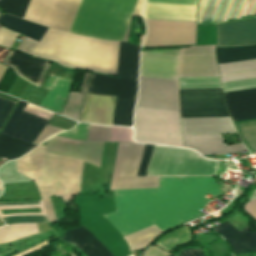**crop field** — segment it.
Here are the masks:
<instances>
[{
    "instance_id": "214f88e0",
    "label": "crop field",
    "mask_w": 256,
    "mask_h": 256,
    "mask_svg": "<svg viewBox=\"0 0 256 256\" xmlns=\"http://www.w3.org/2000/svg\"><path fill=\"white\" fill-rule=\"evenodd\" d=\"M196 7L189 5H171L146 3L144 19L195 21Z\"/></svg>"
},
{
    "instance_id": "eef30255",
    "label": "crop field",
    "mask_w": 256,
    "mask_h": 256,
    "mask_svg": "<svg viewBox=\"0 0 256 256\" xmlns=\"http://www.w3.org/2000/svg\"><path fill=\"white\" fill-rule=\"evenodd\" d=\"M46 62L14 51L8 60V63L14 65L21 75L34 82H37Z\"/></svg>"
},
{
    "instance_id": "b80d0937",
    "label": "crop field",
    "mask_w": 256,
    "mask_h": 256,
    "mask_svg": "<svg viewBox=\"0 0 256 256\" xmlns=\"http://www.w3.org/2000/svg\"><path fill=\"white\" fill-rule=\"evenodd\" d=\"M89 125L78 123L75 128L67 132L58 134L69 139L86 140Z\"/></svg>"
},
{
    "instance_id": "425ffa30",
    "label": "crop field",
    "mask_w": 256,
    "mask_h": 256,
    "mask_svg": "<svg viewBox=\"0 0 256 256\" xmlns=\"http://www.w3.org/2000/svg\"><path fill=\"white\" fill-rule=\"evenodd\" d=\"M36 45H37V42L24 37L23 41L18 47V50L31 54L34 48L36 47Z\"/></svg>"
},
{
    "instance_id": "bd1437ed",
    "label": "crop field",
    "mask_w": 256,
    "mask_h": 256,
    "mask_svg": "<svg viewBox=\"0 0 256 256\" xmlns=\"http://www.w3.org/2000/svg\"><path fill=\"white\" fill-rule=\"evenodd\" d=\"M37 145L20 142L0 134V159L9 161L17 159Z\"/></svg>"
},
{
    "instance_id": "03da06ac",
    "label": "crop field",
    "mask_w": 256,
    "mask_h": 256,
    "mask_svg": "<svg viewBox=\"0 0 256 256\" xmlns=\"http://www.w3.org/2000/svg\"><path fill=\"white\" fill-rule=\"evenodd\" d=\"M65 130H61L55 127H51L46 125V127L43 129V131L40 133V135L37 137V139L34 141V144H40L47 138Z\"/></svg>"
},
{
    "instance_id": "dd49c442",
    "label": "crop field",
    "mask_w": 256,
    "mask_h": 256,
    "mask_svg": "<svg viewBox=\"0 0 256 256\" xmlns=\"http://www.w3.org/2000/svg\"><path fill=\"white\" fill-rule=\"evenodd\" d=\"M135 141L184 147L179 112L136 107Z\"/></svg>"
},
{
    "instance_id": "0fb4a251",
    "label": "crop field",
    "mask_w": 256,
    "mask_h": 256,
    "mask_svg": "<svg viewBox=\"0 0 256 256\" xmlns=\"http://www.w3.org/2000/svg\"><path fill=\"white\" fill-rule=\"evenodd\" d=\"M0 190H2V185H1V183H0Z\"/></svg>"
},
{
    "instance_id": "cbeb9de0",
    "label": "crop field",
    "mask_w": 256,
    "mask_h": 256,
    "mask_svg": "<svg viewBox=\"0 0 256 256\" xmlns=\"http://www.w3.org/2000/svg\"><path fill=\"white\" fill-rule=\"evenodd\" d=\"M222 82L256 78V59L218 65ZM224 92L256 88V79L222 83Z\"/></svg>"
},
{
    "instance_id": "a9b5d70f",
    "label": "crop field",
    "mask_w": 256,
    "mask_h": 256,
    "mask_svg": "<svg viewBox=\"0 0 256 256\" xmlns=\"http://www.w3.org/2000/svg\"><path fill=\"white\" fill-rule=\"evenodd\" d=\"M206 1L207 0H200L199 10H198V21L199 22L201 21L202 14H203V11H204V8H205V5H206ZM244 1L245 0H243V4H244ZM228 3H229V0H219V4H218V7H217V10H216L215 17H214L213 21H218V20H223L224 19ZM230 3H231V0H230ZM230 3H229V6H228V9H227V13H228V10H229V7H230ZM216 4H217V0H208L207 1V5H206V8H205V11H204L203 18H202L201 22L212 20ZM241 4H242V0H232L228 16H227V13H226L227 19H226V16H225V19L228 20V19L237 18L238 14H239L240 7H241ZM243 4H242V7H243ZM242 7H241V10H240V14H241V11H242ZM240 14H239V17H240Z\"/></svg>"
},
{
    "instance_id": "bc2a9ffb",
    "label": "crop field",
    "mask_w": 256,
    "mask_h": 256,
    "mask_svg": "<svg viewBox=\"0 0 256 256\" xmlns=\"http://www.w3.org/2000/svg\"><path fill=\"white\" fill-rule=\"evenodd\" d=\"M115 97L88 95L82 120L85 123L112 125Z\"/></svg>"
},
{
    "instance_id": "e52e79f7",
    "label": "crop field",
    "mask_w": 256,
    "mask_h": 256,
    "mask_svg": "<svg viewBox=\"0 0 256 256\" xmlns=\"http://www.w3.org/2000/svg\"><path fill=\"white\" fill-rule=\"evenodd\" d=\"M219 76L215 46L181 49L178 77ZM179 89L221 88L219 77L178 78Z\"/></svg>"
},
{
    "instance_id": "733c2abd",
    "label": "crop field",
    "mask_w": 256,
    "mask_h": 256,
    "mask_svg": "<svg viewBox=\"0 0 256 256\" xmlns=\"http://www.w3.org/2000/svg\"><path fill=\"white\" fill-rule=\"evenodd\" d=\"M185 147L202 155L233 154L246 150L242 143L227 146L221 134L183 136Z\"/></svg>"
},
{
    "instance_id": "92a150f3",
    "label": "crop field",
    "mask_w": 256,
    "mask_h": 256,
    "mask_svg": "<svg viewBox=\"0 0 256 256\" xmlns=\"http://www.w3.org/2000/svg\"><path fill=\"white\" fill-rule=\"evenodd\" d=\"M183 135L237 133L229 117L182 119Z\"/></svg>"
},
{
    "instance_id": "d1516ede",
    "label": "crop field",
    "mask_w": 256,
    "mask_h": 256,
    "mask_svg": "<svg viewBox=\"0 0 256 256\" xmlns=\"http://www.w3.org/2000/svg\"><path fill=\"white\" fill-rule=\"evenodd\" d=\"M136 106L179 111L176 81L139 78Z\"/></svg>"
},
{
    "instance_id": "e1f06a70",
    "label": "crop field",
    "mask_w": 256,
    "mask_h": 256,
    "mask_svg": "<svg viewBox=\"0 0 256 256\" xmlns=\"http://www.w3.org/2000/svg\"><path fill=\"white\" fill-rule=\"evenodd\" d=\"M110 127L90 125L87 140L109 142Z\"/></svg>"
},
{
    "instance_id": "f4fd0767",
    "label": "crop field",
    "mask_w": 256,
    "mask_h": 256,
    "mask_svg": "<svg viewBox=\"0 0 256 256\" xmlns=\"http://www.w3.org/2000/svg\"><path fill=\"white\" fill-rule=\"evenodd\" d=\"M29 1L0 0V8L23 18ZM79 3L80 0H31L24 18L68 32Z\"/></svg>"
},
{
    "instance_id": "dafd665d",
    "label": "crop field",
    "mask_w": 256,
    "mask_h": 256,
    "mask_svg": "<svg viewBox=\"0 0 256 256\" xmlns=\"http://www.w3.org/2000/svg\"><path fill=\"white\" fill-rule=\"evenodd\" d=\"M61 240L74 245L86 256H113L83 225L64 231Z\"/></svg>"
},
{
    "instance_id": "dbb93151",
    "label": "crop field",
    "mask_w": 256,
    "mask_h": 256,
    "mask_svg": "<svg viewBox=\"0 0 256 256\" xmlns=\"http://www.w3.org/2000/svg\"><path fill=\"white\" fill-rule=\"evenodd\" d=\"M47 244H49V243H47V241H45V242H43V243H41V244H39V245H37V246H35V247L29 249V250H26V251H24V252H22V253H20V254H18V255H16V256H25V255H27V254H29V253H31V252H33V251H35V250H37V249H39V248L45 246V245H47Z\"/></svg>"
},
{
    "instance_id": "4a817a6b",
    "label": "crop field",
    "mask_w": 256,
    "mask_h": 256,
    "mask_svg": "<svg viewBox=\"0 0 256 256\" xmlns=\"http://www.w3.org/2000/svg\"><path fill=\"white\" fill-rule=\"evenodd\" d=\"M224 96L234 122L256 119V89L227 92Z\"/></svg>"
},
{
    "instance_id": "120bbe31",
    "label": "crop field",
    "mask_w": 256,
    "mask_h": 256,
    "mask_svg": "<svg viewBox=\"0 0 256 256\" xmlns=\"http://www.w3.org/2000/svg\"><path fill=\"white\" fill-rule=\"evenodd\" d=\"M35 224H14L0 229V243L9 242L21 237L37 234Z\"/></svg>"
},
{
    "instance_id": "25e5ab78",
    "label": "crop field",
    "mask_w": 256,
    "mask_h": 256,
    "mask_svg": "<svg viewBox=\"0 0 256 256\" xmlns=\"http://www.w3.org/2000/svg\"><path fill=\"white\" fill-rule=\"evenodd\" d=\"M254 3H255V0H246V1H245V4H244V7H243V11H242L241 17H247V16H250V15H251V12H252ZM255 8H256V3H255V6H254V9H253V12H252V15H251V16L254 15ZM255 15H256V12H255ZM255 15H254V16H255ZM241 17H240V18H241Z\"/></svg>"
},
{
    "instance_id": "89e229c0",
    "label": "crop field",
    "mask_w": 256,
    "mask_h": 256,
    "mask_svg": "<svg viewBox=\"0 0 256 256\" xmlns=\"http://www.w3.org/2000/svg\"><path fill=\"white\" fill-rule=\"evenodd\" d=\"M245 210L256 219V199L245 205Z\"/></svg>"
},
{
    "instance_id": "73cf0c24",
    "label": "crop field",
    "mask_w": 256,
    "mask_h": 256,
    "mask_svg": "<svg viewBox=\"0 0 256 256\" xmlns=\"http://www.w3.org/2000/svg\"><path fill=\"white\" fill-rule=\"evenodd\" d=\"M146 2L197 5L198 0H147Z\"/></svg>"
},
{
    "instance_id": "ac0d7876",
    "label": "crop field",
    "mask_w": 256,
    "mask_h": 256,
    "mask_svg": "<svg viewBox=\"0 0 256 256\" xmlns=\"http://www.w3.org/2000/svg\"><path fill=\"white\" fill-rule=\"evenodd\" d=\"M160 188L114 191L117 212L103 217L122 237L155 224L163 231L201 216L208 199L221 194L213 177L160 178Z\"/></svg>"
},
{
    "instance_id": "5a996713",
    "label": "crop field",
    "mask_w": 256,
    "mask_h": 256,
    "mask_svg": "<svg viewBox=\"0 0 256 256\" xmlns=\"http://www.w3.org/2000/svg\"><path fill=\"white\" fill-rule=\"evenodd\" d=\"M256 44V19L217 25V47ZM216 45V26H198L196 46Z\"/></svg>"
},
{
    "instance_id": "028f5c9d",
    "label": "crop field",
    "mask_w": 256,
    "mask_h": 256,
    "mask_svg": "<svg viewBox=\"0 0 256 256\" xmlns=\"http://www.w3.org/2000/svg\"><path fill=\"white\" fill-rule=\"evenodd\" d=\"M189 240L190 233L188 232V229L184 226L161 237L155 244L171 253L174 247Z\"/></svg>"
},
{
    "instance_id": "22f410ed",
    "label": "crop field",
    "mask_w": 256,
    "mask_h": 256,
    "mask_svg": "<svg viewBox=\"0 0 256 256\" xmlns=\"http://www.w3.org/2000/svg\"><path fill=\"white\" fill-rule=\"evenodd\" d=\"M27 103L20 101L13 115L9 119L2 134L14 139L33 143L47 120L34 116L32 114L22 112Z\"/></svg>"
},
{
    "instance_id": "4177f3b9",
    "label": "crop field",
    "mask_w": 256,
    "mask_h": 256,
    "mask_svg": "<svg viewBox=\"0 0 256 256\" xmlns=\"http://www.w3.org/2000/svg\"><path fill=\"white\" fill-rule=\"evenodd\" d=\"M70 79L50 74L44 89L49 90L39 106L60 112L64 98L70 85Z\"/></svg>"
},
{
    "instance_id": "c035e120",
    "label": "crop field",
    "mask_w": 256,
    "mask_h": 256,
    "mask_svg": "<svg viewBox=\"0 0 256 256\" xmlns=\"http://www.w3.org/2000/svg\"><path fill=\"white\" fill-rule=\"evenodd\" d=\"M75 124L76 122L70 121L56 114H54L48 122V125H52L65 130L71 129Z\"/></svg>"
},
{
    "instance_id": "730fd06b",
    "label": "crop field",
    "mask_w": 256,
    "mask_h": 256,
    "mask_svg": "<svg viewBox=\"0 0 256 256\" xmlns=\"http://www.w3.org/2000/svg\"><path fill=\"white\" fill-rule=\"evenodd\" d=\"M139 47L120 42L116 76L137 79Z\"/></svg>"
},
{
    "instance_id": "412701ff",
    "label": "crop field",
    "mask_w": 256,
    "mask_h": 256,
    "mask_svg": "<svg viewBox=\"0 0 256 256\" xmlns=\"http://www.w3.org/2000/svg\"><path fill=\"white\" fill-rule=\"evenodd\" d=\"M218 162L207 160L188 149L155 145L147 176H214Z\"/></svg>"
},
{
    "instance_id": "d9b57169",
    "label": "crop field",
    "mask_w": 256,
    "mask_h": 256,
    "mask_svg": "<svg viewBox=\"0 0 256 256\" xmlns=\"http://www.w3.org/2000/svg\"><path fill=\"white\" fill-rule=\"evenodd\" d=\"M179 57L141 53L140 76L177 80Z\"/></svg>"
},
{
    "instance_id": "34b2d1b8",
    "label": "crop field",
    "mask_w": 256,
    "mask_h": 256,
    "mask_svg": "<svg viewBox=\"0 0 256 256\" xmlns=\"http://www.w3.org/2000/svg\"><path fill=\"white\" fill-rule=\"evenodd\" d=\"M103 147L104 143L74 141L56 135L47 141L44 152L100 167ZM46 153L22 157L16 164L17 172L36 182L49 222L57 219L49 195L70 200L79 193L83 162Z\"/></svg>"
},
{
    "instance_id": "3316defc",
    "label": "crop field",
    "mask_w": 256,
    "mask_h": 256,
    "mask_svg": "<svg viewBox=\"0 0 256 256\" xmlns=\"http://www.w3.org/2000/svg\"><path fill=\"white\" fill-rule=\"evenodd\" d=\"M147 36L144 46L165 47L194 45L195 22L145 20Z\"/></svg>"
},
{
    "instance_id": "1f2cbd36",
    "label": "crop field",
    "mask_w": 256,
    "mask_h": 256,
    "mask_svg": "<svg viewBox=\"0 0 256 256\" xmlns=\"http://www.w3.org/2000/svg\"><path fill=\"white\" fill-rule=\"evenodd\" d=\"M179 256H204V254L202 250L192 249L181 252Z\"/></svg>"
},
{
    "instance_id": "d3111659",
    "label": "crop field",
    "mask_w": 256,
    "mask_h": 256,
    "mask_svg": "<svg viewBox=\"0 0 256 256\" xmlns=\"http://www.w3.org/2000/svg\"><path fill=\"white\" fill-rule=\"evenodd\" d=\"M91 74L92 73L85 71L80 93L69 92L70 96L68 95V101L66 100L67 104L65 103V109L63 108L64 112L62 111L63 116L79 121L81 109L86 99Z\"/></svg>"
},
{
    "instance_id": "5d738f31",
    "label": "crop field",
    "mask_w": 256,
    "mask_h": 256,
    "mask_svg": "<svg viewBox=\"0 0 256 256\" xmlns=\"http://www.w3.org/2000/svg\"><path fill=\"white\" fill-rule=\"evenodd\" d=\"M153 145H146L137 175L146 176V167L152 152Z\"/></svg>"
},
{
    "instance_id": "28ad6ade",
    "label": "crop field",
    "mask_w": 256,
    "mask_h": 256,
    "mask_svg": "<svg viewBox=\"0 0 256 256\" xmlns=\"http://www.w3.org/2000/svg\"><path fill=\"white\" fill-rule=\"evenodd\" d=\"M182 118L229 116L221 89L179 90Z\"/></svg>"
},
{
    "instance_id": "d32e631a",
    "label": "crop field",
    "mask_w": 256,
    "mask_h": 256,
    "mask_svg": "<svg viewBox=\"0 0 256 256\" xmlns=\"http://www.w3.org/2000/svg\"><path fill=\"white\" fill-rule=\"evenodd\" d=\"M161 232L162 231L160 229L153 225L124 237V240L126 241L130 250H136L146 246L154 237H156Z\"/></svg>"
},
{
    "instance_id": "0bd39190",
    "label": "crop field",
    "mask_w": 256,
    "mask_h": 256,
    "mask_svg": "<svg viewBox=\"0 0 256 256\" xmlns=\"http://www.w3.org/2000/svg\"><path fill=\"white\" fill-rule=\"evenodd\" d=\"M132 137L133 130H131L130 128L111 127L110 142H134Z\"/></svg>"
},
{
    "instance_id": "5866460e",
    "label": "crop field",
    "mask_w": 256,
    "mask_h": 256,
    "mask_svg": "<svg viewBox=\"0 0 256 256\" xmlns=\"http://www.w3.org/2000/svg\"><path fill=\"white\" fill-rule=\"evenodd\" d=\"M135 101L116 99L113 125L132 126V113Z\"/></svg>"
},
{
    "instance_id": "5142ce71",
    "label": "crop field",
    "mask_w": 256,
    "mask_h": 256,
    "mask_svg": "<svg viewBox=\"0 0 256 256\" xmlns=\"http://www.w3.org/2000/svg\"><path fill=\"white\" fill-rule=\"evenodd\" d=\"M136 92L137 80L119 79L95 73L92 75L89 93L135 100Z\"/></svg>"
},
{
    "instance_id": "c21b1889",
    "label": "crop field",
    "mask_w": 256,
    "mask_h": 256,
    "mask_svg": "<svg viewBox=\"0 0 256 256\" xmlns=\"http://www.w3.org/2000/svg\"><path fill=\"white\" fill-rule=\"evenodd\" d=\"M15 102L0 98V129L13 109Z\"/></svg>"
},
{
    "instance_id": "00972430",
    "label": "crop field",
    "mask_w": 256,
    "mask_h": 256,
    "mask_svg": "<svg viewBox=\"0 0 256 256\" xmlns=\"http://www.w3.org/2000/svg\"><path fill=\"white\" fill-rule=\"evenodd\" d=\"M214 229L227 239L234 254L256 251V231L249 232V225L239 232L226 221Z\"/></svg>"
},
{
    "instance_id": "8a807250",
    "label": "crop field",
    "mask_w": 256,
    "mask_h": 256,
    "mask_svg": "<svg viewBox=\"0 0 256 256\" xmlns=\"http://www.w3.org/2000/svg\"><path fill=\"white\" fill-rule=\"evenodd\" d=\"M144 0H82L69 32L122 41ZM130 24V23H129ZM129 29V26H128ZM128 29L123 41H127ZM81 37L48 28L32 56L62 66L115 76L119 42Z\"/></svg>"
},
{
    "instance_id": "d23c7cc5",
    "label": "crop field",
    "mask_w": 256,
    "mask_h": 256,
    "mask_svg": "<svg viewBox=\"0 0 256 256\" xmlns=\"http://www.w3.org/2000/svg\"><path fill=\"white\" fill-rule=\"evenodd\" d=\"M24 111H27V112L32 113L34 115L40 116V117L45 118L47 120H49L51 118V116L53 115V113H51V112H48L46 110L40 109V108L35 107V106H32L30 104H28L26 106Z\"/></svg>"
},
{
    "instance_id": "d8731c3e",
    "label": "crop field",
    "mask_w": 256,
    "mask_h": 256,
    "mask_svg": "<svg viewBox=\"0 0 256 256\" xmlns=\"http://www.w3.org/2000/svg\"><path fill=\"white\" fill-rule=\"evenodd\" d=\"M143 144L119 143L114 164L111 189H135L158 187V178L136 176Z\"/></svg>"
},
{
    "instance_id": "750c4746",
    "label": "crop field",
    "mask_w": 256,
    "mask_h": 256,
    "mask_svg": "<svg viewBox=\"0 0 256 256\" xmlns=\"http://www.w3.org/2000/svg\"><path fill=\"white\" fill-rule=\"evenodd\" d=\"M28 203H38V201L7 202V203H0V205H8V204H28ZM36 207H41V212H42V213L7 214V215H2V214L0 213V217H2V216H14V215H36V214H45V213H44V209H43V205H42L41 201H39V204L0 206V210H3V209H17V208H36ZM1 219H3L6 224L21 223V222H47L45 215L2 217Z\"/></svg>"
},
{
    "instance_id": "ae1a2a85",
    "label": "crop field",
    "mask_w": 256,
    "mask_h": 256,
    "mask_svg": "<svg viewBox=\"0 0 256 256\" xmlns=\"http://www.w3.org/2000/svg\"><path fill=\"white\" fill-rule=\"evenodd\" d=\"M0 23L3 25V27L11 31L18 32L37 42H39V40L47 30V27L29 22V21H25L13 16H9L6 14H3L0 17Z\"/></svg>"
},
{
    "instance_id": "1d83c4d3",
    "label": "crop field",
    "mask_w": 256,
    "mask_h": 256,
    "mask_svg": "<svg viewBox=\"0 0 256 256\" xmlns=\"http://www.w3.org/2000/svg\"><path fill=\"white\" fill-rule=\"evenodd\" d=\"M218 64L256 58V45L238 48H217Z\"/></svg>"
},
{
    "instance_id": "b54c1fbb",
    "label": "crop field",
    "mask_w": 256,
    "mask_h": 256,
    "mask_svg": "<svg viewBox=\"0 0 256 256\" xmlns=\"http://www.w3.org/2000/svg\"><path fill=\"white\" fill-rule=\"evenodd\" d=\"M17 34L7 31L3 28L0 29V45L10 48Z\"/></svg>"
}]
</instances>
